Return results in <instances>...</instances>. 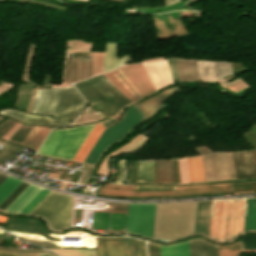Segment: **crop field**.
<instances>
[{
  "mask_svg": "<svg viewBox=\"0 0 256 256\" xmlns=\"http://www.w3.org/2000/svg\"><path fill=\"white\" fill-rule=\"evenodd\" d=\"M244 200L236 201L233 236L236 231H243L242 219ZM229 201L221 202L217 239L225 240ZM219 202H216L214 217H211L209 237H216ZM234 201H231L227 238L231 239Z\"/></svg>",
  "mask_w": 256,
  "mask_h": 256,
  "instance_id": "crop-field-6",
  "label": "crop field"
},
{
  "mask_svg": "<svg viewBox=\"0 0 256 256\" xmlns=\"http://www.w3.org/2000/svg\"><path fill=\"white\" fill-rule=\"evenodd\" d=\"M0 256H14V254L0 252Z\"/></svg>",
  "mask_w": 256,
  "mask_h": 256,
  "instance_id": "crop-field-34",
  "label": "crop field"
},
{
  "mask_svg": "<svg viewBox=\"0 0 256 256\" xmlns=\"http://www.w3.org/2000/svg\"><path fill=\"white\" fill-rule=\"evenodd\" d=\"M191 256H239V243L229 246H217L206 241L193 239L189 241ZM188 241L172 246H161V256H190Z\"/></svg>",
  "mask_w": 256,
  "mask_h": 256,
  "instance_id": "crop-field-5",
  "label": "crop field"
},
{
  "mask_svg": "<svg viewBox=\"0 0 256 256\" xmlns=\"http://www.w3.org/2000/svg\"><path fill=\"white\" fill-rule=\"evenodd\" d=\"M190 182L205 181L200 156L187 158Z\"/></svg>",
  "mask_w": 256,
  "mask_h": 256,
  "instance_id": "crop-field-18",
  "label": "crop field"
},
{
  "mask_svg": "<svg viewBox=\"0 0 256 256\" xmlns=\"http://www.w3.org/2000/svg\"><path fill=\"white\" fill-rule=\"evenodd\" d=\"M256 229V198L248 199L245 231Z\"/></svg>",
  "mask_w": 256,
  "mask_h": 256,
  "instance_id": "crop-field-20",
  "label": "crop field"
},
{
  "mask_svg": "<svg viewBox=\"0 0 256 256\" xmlns=\"http://www.w3.org/2000/svg\"><path fill=\"white\" fill-rule=\"evenodd\" d=\"M74 85L94 108L107 117L116 115L124 106L132 103L103 74Z\"/></svg>",
  "mask_w": 256,
  "mask_h": 256,
  "instance_id": "crop-field-1",
  "label": "crop field"
},
{
  "mask_svg": "<svg viewBox=\"0 0 256 256\" xmlns=\"http://www.w3.org/2000/svg\"><path fill=\"white\" fill-rule=\"evenodd\" d=\"M125 256H133L131 238L123 237Z\"/></svg>",
  "mask_w": 256,
  "mask_h": 256,
  "instance_id": "crop-field-28",
  "label": "crop field"
},
{
  "mask_svg": "<svg viewBox=\"0 0 256 256\" xmlns=\"http://www.w3.org/2000/svg\"><path fill=\"white\" fill-rule=\"evenodd\" d=\"M103 129L104 128L101 125V123L95 124L90 134L88 135V137L86 138V140L84 141L80 149L78 150L77 154L73 158L74 161L83 162V160L85 159L88 152L90 151V149L92 148L96 140L98 139Z\"/></svg>",
  "mask_w": 256,
  "mask_h": 256,
  "instance_id": "crop-field-16",
  "label": "crop field"
},
{
  "mask_svg": "<svg viewBox=\"0 0 256 256\" xmlns=\"http://www.w3.org/2000/svg\"><path fill=\"white\" fill-rule=\"evenodd\" d=\"M148 256H160L159 245L147 242Z\"/></svg>",
  "mask_w": 256,
  "mask_h": 256,
  "instance_id": "crop-field-27",
  "label": "crop field"
},
{
  "mask_svg": "<svg viewBox=\"0 0 256 256\" xmlns=\"http://www.w3.org/2000/svg\"><path fill=\"white\" fill-rule=\"evenodd\" d=\"M156 90L171 84V77L166 60L143 64Z\"/></svg>",
  "mask_w": 256,
  "mask_h": 256,
  "instance_id": "crop-field-9",
  "label": "crop field"
},
{
  "mask_svg": "<svg viewBox=\"0 0 256 256\" xmlns=\"http://www.w3.org/2000/svg\"><path fill=\"white\" fill-rule=\"evenodd\" d=\"M72 203V197L50 191L29 214L45 219L54 230H62L70 225Z\"/></svg>",
  "mask_w": 256,
  "mask_h": 256,
  "instance_id": "crop-field-3",
  "label": "crop field"
},
{
  "mask_svg": "<svg viewBox=\"0 0 256 256\" xmlns=\"http://www.w3.org/2000/svg\"><path fill=\"white\" fill-rule=\"evenodd\" d=\"M116 87H118L132 102L142 98L120 69L104 74Z\"/></svg>",
  "mask_w": 256,
  "mask_h": 256,
  "instance_id": "crop-field-13",
  "label": "crop field"
},
{
  "mask_svg": "<svg viewBox=\"0 0 256 256\" xmlns=\"http://www.w3.org/2000/svg\"><path fill=\"white\" fill-rule=\"evenodd\" d=\"M174 189V187H148V186H136V190H146V191H152V190H170Z\"/></svg>",
  "mask_w": 256,
  "mask_h": 256,
  "instance_id": "crop-field-29",
  "label": "crop field"
},
{
  "mask_svg": "<svg viewBox=\"0 0 256 256\" xmlns=\"http://www.w3.org/2000/svg\"><path fill=\"white\" fill-rule=\"evenodd\" d=\"M61 256H96L95 250L84 249H51Z\"/></svg>",
  "mask_w": 256,
  "mask_h": 256,
  "instance_id": "crop-field-22",
  "label": "crop field"
},
{
  "mask_svg": "<svg viewBox=\"0 0 256 256\" xmlns=\"http://www.w3.org/2000/svg\"><path fill=\"white\" fill-rule=\"evenodd\" d=\"M144 116L133 106L126 110L122 120L116 125L104 130L86 159L85 163L95 164L98 157L111 145L123 137L133 126L144 120Z\"/></svg>",
  "mask_w": 256,
  "mask_h": 256,
  "instance_id": "crop-field-4",
  "label": "crop field"
},
{
  "mask_svg": "<svg viewBox=\"0 0 256 256\" xmlns=\"http://www.w3.org/2000/svg\"><path fill=\"white\" fill-rule=\"evenodd\" d=\"M93 168H94V166H91V165L87 166V169H86L83 177L81 178V180L79 182L80 184H84V185L86 184V182H87V180H88V178H89Z\"/></svg>",
  "mask_w": 256,
  "mask_h": 256,
  "instance_id": "crop-field-30",
  "label": "crop field"
},
{
  "mask_svg": "<svg viewBox=\"0 0 256 256\" xmlns=\"http://www.w3.org/2000/svg\"><path fill=\"white\" fill-rule=\"evenodd\" d=\"M8 177L6 174L0 173V184Z\"/></svg>",
  "mask_w": 256,
  "mask_h": 256,
  "instance_id": "crop-field-33",
  "label": "crop field"
},
{
  "mask_svg": "<svg viewBox=\"0 0 256 256\" xmlns=\"http://www.w3.org/2000/svg\"><path fill=\"white\" fill-rule=\"evenodd\" d=\"M49 191L43 188L20 213L28 214Z\"/></svg>",
  "mask_w": 256,
  "mask_h": 256,
  "instance_id": "crop-field-25",
  "label": "crop field"
},
{
  "mask_svg": "<svg viewBox=\"0 0 256 256\" xmlns=\"http://www.w3.org/2000/svg\"><path fill=\"white\" fill-rule=\"evenodd\" d=\"M134 256H147L145 242L132 238Z\"/></svg>",
  "mask_w": 256,
  "mask_h": 256,
  "instance_id": "crop-field-26",
  "label": "crop field"
},
{
  "mask_svg": "<svg viewBox=\"0 0 256 256\" xmlns=\"http://www.w3.org/2000/svg\"><path fill=\"white\" fill-rule=\"evenodd\" d=\"M106 187L135 190V186H124V185H117V184H105L104 186H102L100 188V190L98 192V195L124 196V197H147V196L175 195L174 191H164V192H130V191L117 190V189H107Z\"/></svg>",
  "mask_w": 256,
  "mask_h": 256,
  "instance_id": "crop-field-10",
  "label": "crop field"
},
{
  "mask_svg": "<svg viewBox=\"0 0 256 256\" xmlns=\"http://www.w3.org/2000/svg\"><path fill=\"white\" fill-rule=\"evenodd\" d=\"M98 256H124L122 237H96Z\"/></svg>",
  "mask_w": 256,
  "mask_h": 256,
  "instance_id": "crop-field-12",
  "label": "crop field"
},
{
  "mask_svg": "<svg viewBox=\"0 0 256 256\" xmlns=\"http://www.w3.org/2000/svg\"><path fill=\"white\" fill-rule=\"evenodd\" d=\"M15 256H30L29 254H15Z\"/></svg>",
  "mask_w": 256,
  "mask_h": 256,
  "instance_id": "crop-field-35",
  "label": "crop field"
},
{
  "mask_svg": "<svg viewBox=\"0 0 256 256\" xmlns=\"http://www.w3.org/2000/svg\"><path fill=\"white\" fill-rule=\"evenodd\" d=\"M42 187L30 184L6 209L10 213H19Z\"/></svg>",
  "mask_w": 256,
  "mask_h": 256,
  "instance_id": "crop-field-15",
  "label": "crop field"
},
{
  "mask_svg": "<svg viewBox=\"0 0 256 256\" xmlns=\"http://www.w3.org/2000/svg\"><path fill=\"white\" fill-rule=\"evenodd\" d=\"M178 90L179 89L177 87H173V88L166 89L163 92L170 97L174 93H176ZM163 92L138 104V107L144 113L147 120L153 117L155 114H157L159 110L164 106L162 103L169 98Z\"/></svg>",
  "mask_w": 256,
  "mask_h": 256,
  "instance_id": "crop-field-11",
  "label": "crop field"
},
{
  "mask_svg": "<svg viewBox=\"0 0 256 256\" xmlns=\"http://www.w3.org/2000/svg\"><path fill=\"white\" fill-rule=\"evenodd\" d=\"M50 128L34 126L27 137L23 140L22 144L37 149Z\"/></svg>",
  "mask_w": 256,
  "mask_h": 256,
  "instance_id": "crop-field-17",
  "label": "crop field"
},
{
  "mask_svg": "<svg viewBox=\"0 0 256 256\" xmlns=\"http://www.w3.org/2000/svg\"><path fill=\"white\" fill-rule=\"evenodd\" d=\"M28 185L29 183L22 181L0 204V209L4 210Z\"/></svg>",
  "mask_w": 256,
  "mask_h": 256,
  "instance_id": "crop-field-23",
  "label": "crop field"
},
{
  "mask_svg": "<svg viewBox=\"0 0 256 256\" xmlns=\"http://www.w3.org/2000/svg\"><path fill=\"white\" fill-rule=\"evenodd\" d=\"M82 1H87V0H82Z\"/></svg>",
  "mask_w": 256,
  "mask_h": 256,
  "instance_id": "crop-field-38",
  "label": "crop field"
},
{
  "mask_svg": "<svg viewBox=\"0 0 256 256\" xmlns=\"http://www.w3.org/2000/svg\"><path fill=\"white\" fill-rule=\"evenodd\" d=\"M137 182L153 183V161L140 162Z\"/></svg>",
  "mask_w": 256,
  "mask_h": 256,
  "instance_id": "crop-field-19",
  "label": "crop field"
},
{
  "mask_svg": "<svg viewBox=\"0 0 256 256\" xmlns=\"http://www.w3.org/2000/svg\"><path fill=\"white\" fill-rule=\"evenodd\" d=\"M31 256H37L36 254H30Z\"/></svg>",
  "mask_w": 256,
  "mask_h": 256,
  "instance_id": "crop-field-37",
  "label": "crop field"
},
{
  "mask_svg": "<svg viewBox=\"0 0 256 256\" xmlns=\"http://www.w3.org/2000/svg\"><path fill=\"white\" fill-rule=\"evenodd\" d=\"M176 196L201 194V193H220L231 191L230 184H217V185H200V186H186L175 187Z\"/></svg>",
  "mask_w": 256,
  "mask_h": 256,
  "instance_id": "crop-field-14",
  "label": "crop field"
},
{
  "mask_svg": "<svg viewBox=\"0 0 256 256\" xmlns=\"http://www.w3.org/2000/svg\"><path fill=\"white\" fill-rule=\"evenodd\" d=\"M93 126L51 131L37 153L72 160Z\"/></svg>",
  "mask_w": 256,
  "mask_h": 256,
  "instance_id": "crop-field-2",
  "label": "crop field"
},
{
  "mask_svg": "<svg viewBox=\"0 0 256 256\" xmlns=\"http://www.w3.org/2000/svg\"><path fill=\"white\" fill-rule=\"evenodd\" d=\"M242 249L256 248V234H249L240 239ZM256 249L242 250V252H255Z\"/></svg>",
  "mask_w": 256,
  "mask_h": 256,
  "instance_id": "crop-field-24",
  "label": "crop field"
},
{
  "mask_svg": "<svg viewBox=\"0 0 256 256\" xmlns=\"http://www.w3.org/2000/svg\"><path fill=\"white\" fill-rule=\"evenodd\" d=\"M27 86H28V84H27ZM21 87V86H20ZM25 87H26V84H25ZM31 87H32V85H31ZM31 87H30V90H31ZM27 88V87H26ZM24 90H25V88H24ZM22 91V90H21ZM23 93V92H22ZM29 93H30V91H29ZM24 94V93H23ZM31 94V93H30ZM25 95H26V90H25ZM25 95H24V98H25ZM29 96V95H28ZM23 98V97H22ZM29 98H30V96H29ZM18 99V98H17ZM22 100V99H21ZM25 101H26V99H25ZM25 101H24V103H25ZM28 102H29V99H28ZM18 103V102H17ZM21 103V102H20ZM23 104V103H22ZM20 105V104H19ZM28 105V104H27ZM17 106V105H16ZM22 106V105H21ZM23 106H24V104H23ZM23 106H22V108L21 109H23ZM19 107V106H18ZM25 107V106H24ZM27 107V106H26ZM20 108V107H19Z\"/></svg>",
  "mask_w": 256,
  "mask_h": 256,
  "instance_id": "crop-field-32",
  "label": "crop field"
},
{
  "mask_svg": "<svg viewBox=\"0 0 256 256\" xmlns=\"http://www.w3.org/2000/svg\"><path fill=\"white\" fill-rule=\"evenodd\" d=\"M21 182V180L9 176L0 185V203L8 196V194Z\"/></svg>",
  "mask_w": 256,
  "mask_h": 256,
  "instance_id": "crop-field-21",
  "label": "crop field"
},
{
  "mask_svg": "<svg viewBox=\"0 0 256 256\" xmlns=\"http://www.w3.org/2000/svg\"><path fill=\"white\" fill-rule=\"evenodd\" d=\"M120 69L142 97L156 91L142 64L125 65Z\"/></svg>",
  "mask_w": 256,
  "mask_h": 256,
  "instance_id": "crop-field-8",
  "label": "crop field"
},
{
  "mask_svg": "<svg viewBox=\"0 0 256 256\" xmlns=\"http://www.w3.org/2000/svg\"><path fill=\"white\" fill-rule=\"evenodd\" d=\"M124 162H125V160L120 161V166H119L120 174H119V176L116 180V183H121L122 180H123V177H124Z\"/></svg>",
  "mask_w": 256,
  "mask_h": 256,
  "instance_id": "crop-field-31",
  "label": "crop field"
},
{
  "mask_svg": "<svg viewBox=\"0 0 256 256\" xmlns=\"http://www.w3.org/2000/svg\"><path fill=\"white\" fill-rule=\"evenodd\" d=\"M155 204H129L127 232L152 238Z\"/></svg>",
  "mask_w": 256,
  "mask_h": 256,
  "instance_id": "crop-field-7",
  "label": "crop field"
},
{
  "mask_svg": "<svg viewBox=\"0 0 256 256\" xmlns=\"http://www.w3.org/2000/svg\"><path fill=\"white\" fill-rule=\"evenodd\" d=\"M38 256H51L49 254H37Z\"/></svg>",
  "mask_w": 256,
  "mask_h": 256,
  "instance_id": "crop-field-36",
  "label": "crop field"
}]
</instances>
